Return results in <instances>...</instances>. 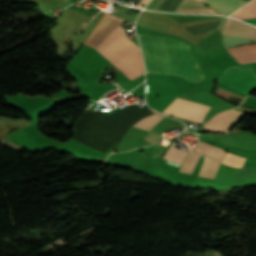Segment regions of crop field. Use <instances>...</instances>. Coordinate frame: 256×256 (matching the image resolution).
Masks as SVG:
<instances>
[{
    "label": "crop field",
    "mask_w": 256,
    "mask_h": 256,
    "mask_svg": "<svg viewBox=\"0 0 256 256\" xmlns=\"http://www.w3.org/2000/svg\"><path fill=\"white\" fill-rule=\"evenodd\" d=\"M138 38L144 53L146 73L176 74L194 83L203 79L187 45L159 36L138 34Z\"/></svg>",
    "instance_id": "obj_1"
},
{
    "label": "crop field",
    "mask_w": 256,
    "mask_h": 256,
    "mask_svg": "<svg viewBox=\"0 0 256 256\" xmlns=\"http://www.w3.org/2000/svg\"><path fill=\"white\" fill-rule=\"evenodd\" d=\"M130 80L144 74L139 47L120 26L115 28L96 48Z\"/></svg>",
    "instance_id": "obj_2"
},
{
    "label": "crop field",
    "mask_w": 256,
    "mask_h": 256,
    "mask_svg": "<svg viewBox=\"0 0 256 256\" xmlns=\"http://www.w3.org/2000/svg\"><path fill=\"white\" fill-rule=\"evenodd\" d=\"M218 80L243 93L256 88V75L250 64L227 67Z\"/></svg>",
    "instance_id": "obj_3"
},
{
    "label": "crop field",
    "mask_w": 256,
    "mask_h": 256,
    "mask_svg": "<svg viewBox=\"0 0 256 256\" xmlns=\"http://www.w3.org/2000/svg\"><path fill=\"white\" fill-rule=\"evenodd\" d=\"M210 106L176 98L163 113L201 123Z\"/></svg>",
    "instance_id": "obj_4"
},
{
    "label": "crop field",
    "mask_w": 256,
    "mask_h": 256,
    "mask_svg": "<svg viewBox=\"0 0 256 256\" xmlns=\"http://www.w3.org/2000/svg\"><path fill=\"white\" fill-rule=\"evenodd\" d=\"M245 114L234 109L215 115L204 124V132L221 133L230 130Z\"/></svg>",
    "instance_id": "obj_5"
},
{
    "label": "crop field",
    "mask_w": 256,
    "mask_h": 256,
    "mask_svg": "<svg viewBox=\"0 0 256 256\" xmlns=\"http://www.w3.org/2000/svg\"><path fill=\"white\" fill-rule=\"evenodd\" d=\"M125 20L104 14L84 44L95 48L116 26Z\"/></svg>",
    "instance_id": "obj_6"
},
{
    "label": "crop field",
    "mask_w": 256,
    "mask_h": 256,
    "mask_svg": "<svg viewBox=\"0 0 256 256\" xmlns=\"http://www.w3.org/2000/svg\"><path fill=\"white\" fill-rule=\"evenodd\" d=\"M221 34L256 38V28L241 21L228 18Z\"/></svg>",
    "instance_id": "obj_7"
},
{
    "label": "crop field",
    "mask_w": 256,
    "mask_h": 256,
    "mask_svg": "<svg viewBox=\"0 0 256 256\" xmlns=\"http://www.w3.org/2000/svg\"><path fill=\"white\" fill-rule=\"evenodd\" d=\"M206 5L219 10L225 14H230L231 12L237 10L247 1L245 0H201Z\"/></svg>",
    "instance_id": "obj_8"
},
{
    "label": "crop field",
    "mask_w": 256,
    "mask_h": 256,
    "mask_svg": "<svg viewBox=\"0 0 256 256\" xmlns=\"http://www.w3.org/2000/svg\"><path fill=\"white\" fill-rule=\"evenodd\" d=\"M175 12L222 14L195 0H183Z\"/></svg>",
    "instance_id": "obj_9"
},
{
    "label": "crop field",
    "mask_w": 256,
    "mask_h": 256,
    "mask_svg": "<svg viewBox=\"0 0 256 256\" xmlns=\"http://www.w3.org/2000/svg\"><path fill=\"white\" fill-rule=\"evenodd\" d=\"M198 144V146L195 148L196 150H201V151H204V154L218 160L221 162L223 156L225 155V151L217 148V147H214V146H211V145H208V144H205L201 141H198L196 142ZM195 152H199V153H202L201 151H196Z\"/></svg>",
    "instance_id": "obj_10"
},
{
    "label": "crop field",
    "mask_w": 256,
    "mask_h": 256,
    "mask_svg": "<svg viewBox=\"0 0 256 256\" xmlns=\"http://www.w3.org/2000/svg\"><path fill=\"white\" fill-rule=\"evenodd\" d=\"M230 16L238 19L256 17V0H251L247 5L241 7Z\"/></svg>",
    "instance_id": "obj_11"
},
{
    "label": "crop field",
    "mask_w": 256,
    "mask_h": 256,
    "mask_svg": "<svg viewBox=\"0 0 256 256\" xmlns=\"http://www.w3.org/2000/svg\"><path fill=\"white\" fill-rule=\"evenodd\" d=\"M211 160L212 159H210L209 157L204 155L203 166H202V169H201V171H200L198 176H201V177L205 176ZM219 165H220V163L216 162L215 160H212V162L210 164V167L208 169V172H207L205 177L214 179L215 175L217 173Z\"/></svg>",
    "instance_id": "obj_12"
},
{
    "label": "crop field",
    "mask_w": 256,
    "mask_h": 256,
    "mask_svg": "<svg viewBox=\"0 0 256 256\" xmlns=\"http://www.w3.org/2000/svg\"><path fill=\"white\" fill-rule=\"evenodd\" d=\"M199 157H200V154L190 152L188 154V156L186 157L185 161L183 162L179 171L191 174L193 169L196 166V163H197V160H198Z\"/></svg>",
    "instance_id": "obj_13"
},
{
    "label": "crop field",
    "mask_w": 256,
    "mask_h": 256,
    "mask_svg": "<svg viewBox=\"0 0 256 256\" xmlns=\"http://www.w3.org/2000/svg\"><path fill=\"white\" fill-rule=\"evenodd\" d=\"M162 119V117L153 114L150 115L142 120H140L139 122H137L134 127H138L144 130H150L158 121H160Z\"/></svg>",
    "instance_id": "obj_14"
},
{
    "label": "crop field",
    "mask_w": 256,
    "mask_h": 256,
    "mask_svg": "<svg viewBox=\"0 0 256 256\" xmlns=\"http://www.w3.org/2000/svg\"><path fill=\"white\" fill-rule=\"evenodd\" d=\"M186 155H187V152H184L182 150H179L177 148L170 146V148L164 155V158L181 164Z\"/></svg>",
    "instance_id": "obj_15"
},
{
    "label": "crop field",
    "mask_w": 256,
    "mask_h": 256,
    "mask_svg": "<svg viewBox=\"0 0 256 256\" xmlns=\"http://www.w3.org/2000/svg\"><path fill=\"white\" fill-rule=\"evenodd\" d=\"M244 161H245V158H243V157H239V156H235V155L227 153L223 160V163H225L229 166H232V167L241 168Z\"/></svg>",
    "instance_id": "obj_16"
},
{
    "label": "crop field",
    "mask_w": 256,
    "mask_h": 256,
    "mask_svg": "<svg viewBox=\"0 0 256 256\" xmlns=\"http://www.w3.org/2000/svg\"><path fill=\"white\" fill-rule=\"evenodd\" d=\"M166 0H159L151 9L157 10L160 8Z\"/></svg>",
    "instance_id": "obj_17"
},
{
    "label": "crop field",
    "mask_w": 256,
    "mask_h": 256,
    "mask_svg": "<svg viewBox=\"0 0 256 256\" xmlns=\"http://www.w3.org/2000/svg\"><path fill=\"white\" fill-rule=\"evenodd\" d=\"M149 0H141L140 3L146 4Z\"/></svg>",
    "instance_id": "obj_18"
},
{
    "label": "crop field",
    "mask_w": 256,
    "mask_h": 256,
    "mask_svg": "<svg viewBox=\"0 0 256 256\" xmlns=\"http://www.w3.org/2000/svg\"><path fill=\"white\" fill-rule=\"evenodd\" d=\"M198 1H200V0H198ZM201 2V1H200Z\"/></svg>",
    "instance_id": "obj_19"
}]
</instances>
